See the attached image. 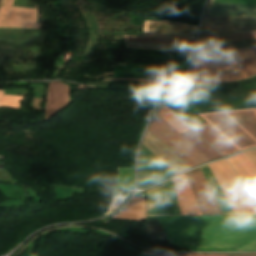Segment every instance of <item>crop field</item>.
<instances>
[{"label": "crop field", "mask_w": 256, "mask_h": 256, "mask_svg": "<svg viewBox=\"0 0 256 256\" xmlns=\"http://www.w3.org/2000/svg\"><path fill=\"white\" fill-rule=\"evenodd\" d=\"M23 96H3V90H0V108L10 107L18 109Z\"/></svg>", "instance_id": "obj_28"}, {"label": "crop field", "mask_w": 256, "mask_h": 256, "mask_svg": "<svg viewBox=\"0 0 256 256\" xmlns=\"http://www.w3.org/2000/svg\"><path fill=\"white\" fill-rule=\"evenodd\" d=\"M151 36L189 38L192 25L167 21H148Z\"/></svg>", "instance_id": "obj_14"}, {"label": "crop field", "mask_w": 256, "mask_h": 256, "mask_svg": "<svg viewBox=\"0 0 256 256\" xmlns=\"http://www.w3.org/2000/svg\"><path fill=\"white\" fill-rule=\"evenodd\" d=\"M142 254L147 256H256V254H164L145 251Z\"/></svg>", "instance_id": "obj_29"}, {"label": "crop field", "mask_w": 256, "mask_h": 256, "mask_svg": "<svg viewBox=\"0 0 256 256\" xmlns=\"http://www.w3.org/2000/svg\"><path fill=\"white\" fill-rule=\"evenodd\" d=\"M113 80H136V81L151 82V83H157V84H163V85H168V86L176 87L175 84L164 83V82H159V81H154V80H146V79L118 78V79H113ZM105 81H109V80H105Z\"/></svg>", "instance_id": "obj_31"}, {"label": "crop field", "mask_w": 256, "mask_h": 256, "mask_svg": "<svg viewBox=\"0 0 256 256\" xmlns=\"http://www.w3.org/2000/svg\"><path fill=\"white\" fill-rule=\"evenodd\" d=\"M182 215H202L185 175L172 179Z\"/></svg>", "instance_id": "obj_13"}, {"label": "crop field", "mask_w": 256, "mask_h": 256, "mask_svg": "<svg viewBox=\"0 0 256 256\" xmlns=\"http://www.w3.org/2000/svg\"><path fill=\"white\" fill-rule=\"evenodd\" d=\"M69 91L70 87L59 81L49 82L44 120L49 119L67 106Z\"/></svg>", "instance_id": "obj_12"}, {"label": "crop field", "mask_w": 256, "mask_h": 256, "mask_svg": "<svg viewBox=\"0 0 256 256\" xmlns=\"http://www.w3.org/2000/svg\"><path fill=\"white\" fill-rule=\"evenodd\" d=\"M192 54L134 50L133 64L188 66Z\"/></svg>", "instance_id": "obj_10"}, {"label": "crop field", "mask_w": 256, "mask_h": 256, "mask_svg": "<svg viewBox=\"0 0 256 256\" xmlns=\"http://www.w3.org/2000/svg\"><path fill=\"white\" fill-rule=\"evenodd\" d=\"M250 77L239 65H230L200 71L190 72L184 85L208 83V82H226Z\"/></svg>", "instance_id": "obj_8"}, {"label": "crop field", "mask_w": 256, "mask_h": 256, "mask_svg": "<svg viewBox=\"0 0 256 256\" xmlns=\"http://www.w3.org/2000/svg\"><path fill=\"white\" fill-rule=\"evenodd\" d=\"M36 23V9L2 6L0 10V27H19L39 29Z\"/></svg>", "instance_id": "obj_11"}, {"label": "crop field", "mask_w": 256, "mask_h": 256, "mask_svg": "<svg viewBox=\"0 0 256 256\" xmlns=\"http://www.w3.org/2000/svg\"><path fill=\"white\" fill-rule=\"evenodd\" d=\"M256 38V32H250Z\"/></svg>", "instance_id": "obj_33"}, {"label": "crop field", "mask_w": 256, "mask_h": 256, "mask_svg": "<svg viewBox=\"0 0 256 256\" xmlns=\"http://www.w3.org/2000/svg\"><path fill=\"white\" fill-rule=\"evenodd\" d=\"M229 52L250 76L256 74V47ZM229 52L197 56L191 71L237 63Z\"/></svg>", "instance_id": "obj_6"}, {"label": "crop field", "mask_w": 256, "mask_h": 256, "mask_svg": "<svg viewBox=\"0 0 256 256\" xmlns=\"http://www.w3.org/2000/svg\"><path fill=\"white\" fill-rule=\"evenodd\" d=\"M13 0H3L2 5L12 6Z\"/></svg>", "instance_id": "obj_32"}, {"label": "crop field", "mask_w": 256, "mask_h": 256, "mask_svg": "<svg viewBox=\"0 0 256 256\" xmlns=\"http://www.w3.org/2000/svg\"><path fill=\"white\" fill-rule=\"evenodd\" d=\"M203 215L222 214L200 169L185 173Z\"/></svg>", "instance_id": "obj_9"}, {"label": "crop field", "mask_w": 256, "mask_h": 256, "mask_svg": "<svg viewBox=\"0 0 256 256\" xmlns=\"http://www.w3.org/2000/svg\"><path fill=\"white\" fill-rule=\"evenodd\" d=\"M211 1L202 24L200 38L256 30V8H246L256 7V0H213L212 4Z\"/></svg>", "instance_id": "obj_2"}, {"label": "crop field", "mask_w": 256, "mask_h": 256, "mask_svg": "<svg viewBox=\"0 0 256 256\" xmlns=\"http://www.w3.org/2000/svg\"><path fill=\"white\" fill-rule=\"evenodd\" d=\"M123 212L114 218L141 221L146 218V200L135 197Z\"/></svg>", "instance_id": "obj_17"}, {"label": "crop field", "mask_w": 256, "mask_h": 256, "mask_svg": "<svg viewBox=\"0 0 256 256\" xmlns=\"http://www.w3.org/2000/svg\"><path fill=\"white\" fill-rule=\"evenodd\" d=\"M125 41L133 42H150V43H164V44H176V45H188L193 46L194 40L167 38V37H141V36H129L123 35Z\"/></svg>", "instance_id": "obj_21"}, {"label": "crop field", "mask_w": 256, "mask_h": 256, "mask_svg": "<svg viewBox=\"0 0 256 256\" xmlns=\"http://www.w3.org/2000/svg\"><path fill=\"white\" fill-rule=\"evenodd\" d=\"M229 163L234 167L246 188L248 189L251 196L256 201V183L251 179V177L246 173V171L242 168L239 162L235 159L234 156L227 158Z\"/></svg>", "instance_id": "obj_23"}, {"label": "crop field", "mask_w": 256, "mask_h": 256, "mask_svg": "<svg viewBox=\"0 0 256 256\" xmlns=\"http://www.w3.org/2000/svg\"><path fill=\"white\" fill-rule=\"evenodd\" d=\"M192 129L195 130L199 135H201L218 152L224 150L227 155L238 152L236 148H234L228 141H226L219 133H217L206 122Z\"/></svg>", "instance_id": "obj_15"}, {"label": "crop field", "mask_w": 256, "mask_h": 256, "mask_svg": "<svg viewBox=\"0 0 256 256\" xmlns=\"http://www.w3.org/2000/svg\"><path fill=\"white\" fill-rule=\"evenodd\" d=\"M200 168H201L223 214H234L232 208L230 207L229 203L227 202L225 196L223 195L221 189L219 188L214 177L212 176L211 172L209 171L207 165H204Z\"/></svg>", "instance_id": "obj_18"}, {"label": "crop field", "mask_w": 256, "mask_h": 256, "mask_svg": "<svg viewBox=\"0 0 256 256\" xmlns=\"http://www.w3.org/2000/svg\"><path fill=\"white\" fill-rule=\"evenodd\" d=\"M181 135L209 161L221 158V156L214 149H212L201 137H199L191 129Z\"/></svg>", "instance_id": "obj_19"}, {"label": "crop field", "mask_w": 256, "mask_h": 256, "mask_svg": "<svg viewBox=\"0 0 256 256\" xmlns=\"http://www.w3.org/2000/svg\"><path fill=\"white\" fill-rule=\"evenodd\" d=\"M2 0H0V7H1Z\"/></svg>", "instance_id": "obj_34"}, {"label": "crop field", "mask_w": 256, "mask_h": 256, "mask_svg": "<svg viewBox=\"0 0 256 256\" xmlns=\"http://www.w3.org/2000/svg\"><path fill=\"white\" fill-rule=\"evenodd\" d=\"M236 159L241 163V165L246 169V171L251 175V177L256 181V167L250 163L242 154L235 155Z\"/></svg>", "instance_id": "obj_30"}, {"label": "crop field", "mask_w": 256, "mask_h": 256, "mask_svg": "<svg viewBox=\"0 0 256 256\" xmlns=\"http://www.w3.org/2000/svg\"><path fill=\"white\" fill-rule=\"evenodd\" d=\"M251 46H256L255 39L231 42V43H225V44H219V45H213V46H207V47H201V48H199L197 55L218 52V51H224V50L245 48V47H251Z\"/></svg>", "instance_id": "obj_22"}, {"label": "crop field", "mask_w": 256, "mask_h": 256, "mask_svg": "<svg viewBox=\"0 0 256 256\" xmlns=\"http://www.w3.org/2000/svg\"><path fill=\"white\" fill-rule=\"evenodd\" d=\"M167 123H169L180 134L190 129L180 119H178L172 112L166 107H163L158 113Z\"/></svg>", "instance_id": "obj_26"}, {"label": "crop field", "mask_w": 256, "mask_h": 256, "mask_svg": "<svg viewBox=\"0 0 256 256\" xmlns=\"http://www.w3.org/2000/svg\"><path fill=\"white\" fill-rule=\"evenodd\" d=\"M173 175L175 173L172 170L142 145L138 180L141 189L157 184Z\"/></svg>", "instance_id": "obj_7"}, {"label": "crop field", "mask_w": 256, "mask_h": 256, "mask_svg": "<svg viewBox=\"0 0 256 256\" xmlns=\"http://www.w3.org/2000/svg\"><path fill=\"white\" fill-rule=\"evenodd\" d=\"M164 184H165V190H166V194H167V199H168V204H169L171 215H181L179 206L177 203L175 191L173 188L172 180L170 179V180L164 182Z\"/></svg>", "instance_id": "obj_27"}, {"label": "crop field", "mask_w": 256, "mask_h": 256, "mask_svg": "<svg viewBox=\"0 0 256 256\" xmlns=\"http://www.w3.org/2000/svg\"><path fill=\"white\" fill-rule=\"evenodd\" d=\"M148 131L151 134H153L166 147L172 144L176 149H178L194 165L190 161H188L172 145L167 147L174 154H176L188 167L193 165L189 167L190 169L200 164L208 162V160L205 157H203L195 148H193L184 138H182L173 128H171L157 114L153 118L148 128Z\"/></svg>", "instance_id": "obj_5"}, {"label": "crop field", "mask_w": 256, "mask_h": 256, "mask_svg": "<svg viewBox=\"0 0 256 256\" xmlns=\"http://www.w3.org/2000/svg\"><path fill=\"white\" fill-rule=\"evenodd\" d=\"M134 184L133 168H119L116 188L132 189Z\"/></svg>", "instance_id": "obj_25"}, {"label": "crop field", "mask_w": 256, "mask_h": 256, "mask_svg": "<svg viewBox=\"0 0 256 256\" xmlns=\"http://www.w3.org/2000/svg\"><path fill=\"white\" fill-rule=\"evenodd\" d=\"M125 44L127 49L160 50V51H173V52H186V53H192L193 51V47H188V46L133 43V42H125Z\"/></svg>", "instance_id": "obj_20"}, {"label": "crop field", "mask_w": 256, "mask_h": 256, "mask_svg": "<svg viewBox=\"0 0 256 256\" xmlns=\"http://www.w3.org/2000/svg\"><path fill=\"white\" fill-rule=\"evenodd\" d=\"M145 194L148 200L147 216L170 215L163 184Z\"/></svg>", "instance_id": "obj_16"}, {"label": "crop field", "mask_w": 256, "mask_h": 256, "mask_svg": "<svg viewBox=\"0 0 256 256\" xmlns=\"http://www.w3.org/2000/svg\"><path fill=\"white\" fill-rule=\"evenodd\" d=\"M235 214H256V205L225 160L208 164Z\"/></svg>", "instance_id": "obj_4"}, {"label": "crop field", "mask_w": 256, "mask_h": 256, "mask_svg": "<svg viewBox=\"0 0 256 256\" xmlns=\"http://www.w3.org/2000/svg\"><path fill=\"white\" fill-rule=\"evenodd\" d=\"M239 151L256 147V109L199 115Z\"/></svg>", "instance_id": "obj_3"}, {"label": "crop field", "mask_w": 256, "mask_h": 256, "mask_svg": "<svg viewBox=\"0 0 256 256\" xmlns=\"http://www.w3.org/2000/svg\"><path fill=\"white\" fill-rule=\"evenodd\" d=\"M251 38H254V37L249 32L215 37V38L204 39V40L200 41L199 47L213 45V44H219V43H225V42H231V41L251 39Z\"/></svg>", "instance_id": "obj_24"}, {"label": "crop field", "mask_w": 256, "mask_h": 256, "mask_svg": "<svg viewBox=\"0 0 256 256\" xmlns=\"http://www.w3.org/2000/svg\"><path fill=\"white\" fill-rule=\"evenodd\" d=\"M157 219L169 243L180 248L256 251V215L165 216Z\"/></svg>", "instance_id": "obj_1"}]
</instances>
